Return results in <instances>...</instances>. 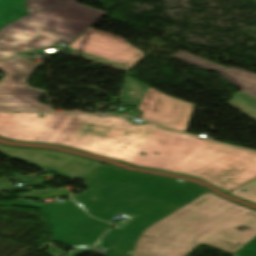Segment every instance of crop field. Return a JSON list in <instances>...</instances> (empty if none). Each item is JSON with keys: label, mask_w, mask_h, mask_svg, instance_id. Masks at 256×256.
Returning a JSON list of instances; mask_svg holds the SVG:
<instances>
[{"label": "crop field", "mask_w": 256, "mask_h": 256, "mask_svg": "<svg viewBox=\"0 0 256 256\" xmlns=\"http://www.w3.org/2000/svg\"><path fill=\"white\" fill-rule=\"evenodd\" d=\"M66 49L80 56L126 70L144 55L125 42L90 31Z\"/></svg>", "instance_id": "9"}, {"label": "crop field", "mask_w": 256, "mask_h": 256, "mask_svg": "<svg viewBox=\"0 0 256 256\" xmlns=\"http://www.w3.org/2000/svg\"><path fill=\"white\" fill-rule=\"evenodd\" d=\"M89 251H93L92 249H76L74 251H72L71 253L65 255V256H76L78 254H82V253H86Z\"/></svg>", "instance_id": "18"}, {"label": "crop field", "mask_w": 256, "mask_h": 256, "mask_svg": "<svg viewBox=\"0 0 256 256\" xmlns=\"http://www.w3.org/2000/svg\"><path fill=\"white\" fill-rule=\"evenodd\" d=\"M227 194L256 203V179Z\"/></svg>", "instance_id": "14"}, {"label": "crop field", "mask_w": 256, "mask_h": 256, "mask_svg": "<svg viewBox=\"0 0 256 256\" xmlns=\"http://www.w3.org/2000/svg\"><path fill=\"white\" fill-rule=\"evenodd\" d=\"M26 12L25 0H0V28Z\"/></svg>", "instance_id": "12"}, {"label": "crop field", "mask_w": 256, "mask_h": 256, "mask_svg": "<svg viewBox=\"0 0 256 256\" xmlns=\"http://www.w3.org/2000/svg\"><path fill=\"white\" fill-rule=\"evenodd\" d=\"M226 103L256 120V99L249 97L242 92L235 94Z\"/></svg>", "instance_id": "13"}, {"label": "crop field", "mask_w": 256, "mask_h": 256, "mask_svg": "<svg viewBox=\"0 0 256 256\" xmlns=\"http://www.w3.org/2000/svg\"><path fill=\"white\" fill-rule=\"evenodd\" d=\"M173 57L189 63L195 67H198L202 70L215 71L220 76H222V79H224L240 91L256 98V74L237 68L226 69L224 67L218 66L216 64L197 58L182 51L178 52Z\"/></svg>", "instance_id": "11"}, {"label": "crop field", "mask_w": 256, "mask_h": 256, "mask_svg": "<svg viewBox=\"0 0 256 256\" xmlns=\"http://www.w3.org/2000/svg\"><path fill=\"white\" fill-rule=\"evenodd\" d=\"M104 14L75 2L31 12L0 30V60L58 42L68 44Z\"/></svg>", "instance_id": "4"}, {"label": "crop field", "mask_w": 256, "mask_h": 256, "mask_svg": "<svg viewBox=\"0 0 256 256\" xmlns=\"http://www.w3.org/2000/svg\"><path fill=\"white\" fill-rule=\"evenodd\" d=\"M120 102L138 106L137 110L143 112L141 118L144 120L183 131L186 130L194 106L168 97L131 78L127 79Z\"/></svg>", "instance_id": "6"}, {"label": "crop field", "mask_w": 256, "mask_h": 256, "mask_svg": "<svg viewBox=\"0 0 256 256\" xmlns=\"http://www.w3.org/2000/svg\"><path fill=\"white\" fill-rule=\"evenodd\" d=\"M81 178L91 189L73 198L90 215L96 213L152 176L135 174L110 166H99ZM95 197V200L90 199Z\"/></svg>", "instance_id": "7"}, {"label": "crop field", "mask_w": 256, "mask_h": 256, "mask_svg": "<svg viewBox=\"0 0 256 256\" xmlns=\"http://www.w3.org/2000/svg\"><path fill=\"white\" fill-rule=\"evenodd\" d=\"M75 0H26L28 12L71 2Z\"/></svg>", "instance_id": "15"}, {"label": "crop field", "mask_w": 256, "mask_h": 256, "mask_svg": "<svg viewBox=\"0 0 256 256\" xmlns=\"http://www.w3.org/2000/svg\"><path fill=\"white\" fill-rule=\"evenodd\" d=\"M207 191L192 183L154 177L92 215L106 221L118 214L132 219L121 229H110L95 246L106 250V256H130L143 229Z\"/></svg>", "instance_id": "3"}, {"label": "crop field", "mask_w": 256, "mask_h": 256, "mask_svg": "<svg viewBox=\"0 0 256 256\" xmlns=\"http://www.w3.org/2000/svg\"><path fill=\"white\" fill-rule=\"evenodd\" d=\"M15 176L17 177V178H19L21 181H23V182H28V181H31V179L30 178H28L27 176H23V177H21L20 175H18V174H15Z\"/></svg>", "instance_id": "19"}, {"label": "crop field", "mask_w": 256, "mask_h": 256, "mask_svg": "<svg viewBox=\"0 0 256 256\" xmlns=\"http://www.w3.org/2000/svg\"><path fill=\"white\" fill-rule=\"evenodd\" d=\"M16 206L42 210L44 222L54 240L71 247H91L110 225L90 218L71 201L64 204L36 205L21 199Z\"/></svg>", "instance_id": "5"}, {"label": "crop field", "mask_w": 256, "mask_h": 256, "mask_svg": "<svg viewBox=\"0 0 256 256\" xmlns=\"http://www.w3.org/2000/svg\"><path fill=\"white\" fill-rule=\"evenodd\" d=\"M248 209L208 192L144 230L131 256H187L200 243L233 254L256 235Z\"/></svg>", "instance_id": "2"}, {"label": "crop field", "mask_w": 256, "mask_h": 256, "mask_svg": "<svg viewBox=\"0 0 256 256\" xmlns=\"http://www.w3.org/2000/svg\"><path fill=\"white\" fill-rule=\"evenodd\" d=\"M0 136L59 144L195 177L229 192L256 178V153L125 117L0 112Z\"/></svg>", "instance_id": "1"}, {"label": "crop field", "mask_w": 256, "mask_h": 256, "mask_svg": "<svg viewBox=\"0 0 256 256\" xmlns=\"http://www.w3.org/2000/svg\"><path fill=\"white\" fill-rule=\"evenodd\" d=\"M36 65L19 56L0 61V68L5 73L0 82V110L51 111L38 102L43 92L25 86Z\"/></svg>", "instance_id": "8"}, {"label": "crop field", "mask_w": 256, "mask_h": 256, "mask_svg": "<svg viewBox=\"0 0 256 256\" xmlns=\"http://www.w3.org/2000/svg\"><path fill=\"white\" fill-rule=\"evenodd\" d=\"M232 256H256V236L242 246Z\"/></svg>", "instance_id": "16"}, {"label": "crop field", "mask_w": 256, "mask_h": 256, "mask_svg": "<svg viewBox=\"0 0 256 256\" xmlns=\"http://www.w3.org/2000/svg\"><path fill=\"white\" fill-rule=\"evenodd\" d=\"M0 151L5 152V155L9 157L23 159L32 165L56 172L59 176L68 179H74L101 163L55 151L20 149L6 146H0Z\"/></svg>", "instance_id": "10"}, {"label": "crop field", "mask_w": 256, "mask_h": 256, "mask_svg": "<svg viewBox=\"0 0 256 256\" xmlns=\"http://www.w3.org/2000/svg\"><path fill=\"white\" fill-rule=\"evenodd\" d=\"M37 184H39V183L33 182V183H26L24 185L25 186H31V185H37ZM25 186H21V187H25ZM14 188H17V187L11 185L10 182L7 179L6 180H0V191L8 190V189H14Z\"/></svg>", "instance_id": "17"}]
</instances>
